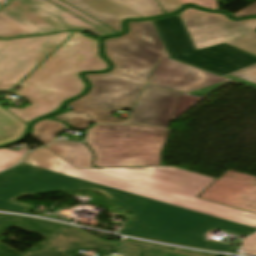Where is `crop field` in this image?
<instances>
[{
  "mask_svg": "<svg viewBox=\"0 0 256 256\" xmlns=\"http://www.w3.org/2000/svg\"><path fill=\"white\" fill-rule=\"evenodd\" d=\"M46 147L76 168L94 167L91 152L83 143L57 140Z\"/></svg>",
  "mask_w": 256,
  "mask_h": 256,
  "instance_id": "crop-field-15",
  "label": "crop field"
},
{
  "mask_svg": "<svg viewBox=\"0 0 256 256\" xmlns=\"http://www.w3.org/2000/svg\"><path fill=\"white\" fill-rule=\"evenodd\" d=\"M102 21L117 31H122L121 22L126 18L141 19L139 15L114 0H65ZM68 3V4H69ZM77 8V9H78Z\"/></svg>",
  "mask_w": 256,
  "mask_h": 256,
  "instance_id": "crop-field-13",
  "label": "crop field"
},
{
  "mask_svg": "<svg viewBox=\"0 0 256 256\" xmlns=\"http://www.w3.org/2000/svg\"><path fill=\"white\" fill-rule=\"evenodd\" d=\"M120 4L147 18L164 14L155 0H116Z\"/></svg>",
  "mask_w": 256,
  "mask_h": 256,
  "instance_id": "crop-field-21",
  "label": "crop field"
},
{
  "mask_svg": "<svg viewBox=\"0 0 256 256\" xmlns=\"http://www.w3.org/2000/svg\"><path fill=\"white\" fill-rule=\"evenodd\" d=\"M170 130L98 124L89 130L85 143L95 153V166L161 165L160 153Z\"/></svg>",
  "mask_w": 256,
  "mask_h": 256,
  "instance_id": "crop-field-5",
  "label": "crop field"
},
{
  "mask_svg": "<svg viewBox=\"0 0 256 256\" xmlns=\"http://www.w3.org/2000/svg\"><path fill=\"white\" fill-rule=\"evenodd\" d=\"M216 178L176 167L75 169L46 147L30 152L0 173V209L29 213L14 202L26 195L95 190L133 215L120 234L235 253V247L205 242L213 227L248 235L256 214L196 198Z\"/></svg>",
  "mask_w": 256,
  "mask_h": 256,
  "instance_id": "crop-field-1",
  "label": "crop field"
},
{
  "mask_svg": "<svg viewBox=\"0 0 256 256\" xmlns=\"http://www.w3.org/2000/svg\"><path fill=\"white\" fill-rule=\"evenodd\" d=\"M73 32L0 40V92L16 86Z\"/></svg>",
  "mask_w": 256,
  "mask_h": 256,
  "instance_id": "crop-field-7",
  "label": "crop field"
},
{
  "mask_svg": "<svg viewBox=\"0 0 256 256\" xmlns=\"http://www.w3.org/2000/svg\"><path fill=\"white\" fill-rule=\"evenodd\" d=\"M80 249H98L101 256L111 252L120 254L119 243L101 240L78 228L63 225L21 256H75V250Z\"/></svg>",
  "mask_w": 256,
  "mask_h": 256,
  "instance_id": "crop-field-10",
  "label": "crop field"
},
{
  "mask_svg": "<svg viewBox=\"0 0 256 256\" xmlns=\"http://www.w3.org/2000/svg\"><path fill=\"white\" fill-rule=\"evenodd\" d=\"M128 26L129 32L126 37L160 55L168 56L151 21L129 22Z\"/></svg>",
  "mask_w": 256,
  "mask_h": 256,
  "instance_id": "crop-field-16",
  "label": "crop field"
},
{
  "mask_svg": "<svg viewBox=\"0 0 256 256\" xmlns=\"http://www.w3.org/2000/svg\"><path fill=\"white\" fill-rule=\"evenodd\" d=\"M226 80L161 57L148 83L203 97Z\"/></svg>",
  "mask_w": 256,
  "mask_h": 256,
  "instance_id": "crop-field-9",
  "label": "crop field"
},
{
  "mask_svg": "<svg viewBox=\"0 0 256 256\" xmlns=\"http://www.w3.org/2000/svg\"><path fill=\"white\" fill-rule=\"evenodd\" d=\"M104 51L113 69L106 74H86L90 92L69 104L73 111L50 118L79 129L89 127L91 122L125 123L112 117L113 109H133L154 66L105 40Z\"/></svg>",
  "mask_w": 256,
  "mask_h": 256,
  "instance_id": "crop-field-3",
  "label": "crop field"
},
{
  "mask_svg": "<svg viewBox=\"0 0 256 256\" xmlns=\"http://www.w3.org/2000/svg\"><path fill=\"white\" fill-rule=\"evenodd\" d=\"M27 124L0 107V145L11 143L21 138Z\"/></svg>",
  "mask_w": 256,
  "mask_h": 256,
  "instance_id": "crop-field-18",
  "label": "crop field"
},
{
  "mask_svg": "<svg viewBox=\"0 0 256 256\" xmlns=\"http://www.w3.org/2000/svg\"><path fill=\"white\" fill-rule=\"evenodd\" d=\"M4 0H0V3H2Z\"/></svg>",
  "mask_w": 256,
  "mask_h": 256,
  "instance_id": "crop-field-29",
  "label": "crop field"
},
{
  "mask_svg": "<svg viewBox=\"0 0 256 256\" xmlns=\"http://www.w3.org/2000/svg\"><path fill=\"white\" fill-rule=\"evenodd\" d=\"M26 152V146L20 148L18 152L11 151L7 148L0 149V171L17 164L22 160Z\"/></svg>",
  "mask_w": 256,
  "mask_h": 256,
  "instance_id": "crop-field-22",
  "label": "crop field"
},
{
  "mask_svg": "<svg viewBox=\"0 0 256 256\" xmlns=\"http://www.w3.org/2000/svg\"><path fill=\"white\" fill-rule=\"evenodd\" d=\"M12 226L46 237L62 225L32 218L0 215V235ZM19 255L21 254L0 243V256Z\"/></svg>",
  "mask_w": 256,
  "mask_h": 256,
  "instance_id": "crop-field-14",
  "label": "crop field"
},
{
  "mask_svg": "<svg viewBox=\"0 0 256 256\" xmlns=\"http://www.w3.org/2000/svg\"><path fill=\"white\" fill-rule=\"evenodd\" d=\"M158 2L166 13L173 12L183 6L179 0H158Z\"/></svg>",
  "mask_w": 256,
  "mask_h": 256,
  "instance_id": "crop-field-25",
  "label": "crop field"
},
{
  "mask_svg": "<svg viewBox=\"0 0 256 256\" xmlns=\"http://www.w3.org/2000/svg\"><path fill=\"white\" fill-rule=\"evenodd\" d=\"M89 31L99 37L116 31L60 0H10L0 8V38Z\"/></svg>",
  "mask_w": 256,
  "mask_h": 256,
  "instance_id": "crop-field-4",
  "label": "crop field"
},
{
  "mask_svg": "<svg viewBox=\"0 0 256 256\" xmlns=\"http://www.w3.org/2000/svg\"><path fill=\"white\" fill-rule=\"evenodd\" d=\"M248 15H256V2L249 5L248 7L244 8L243 10L237 12L236 14H234L232 16L240 17V16H248Z\"/></svg>",
  "mask_w": 256,
  "mask_h": 256,
  "instance_id": "crop-field-28",
  "label": "crop field"
},
{
  "mask_svg": "<svg viewBox=\"0 0 256 256\" xmlns=\"http://www.w3.org/2000/svg\"><path fill=\"white\" fill-rule=\"evenodd\" d=\"M245 51L253 53L256 55V32L245 35L239 39L226 42Z\"/></svg>",
  "mask_w": 256,
  "mask_h": 256,
  "instance_id": "crop-field-23",
  "label": "crop field"
},
{
  "mask_svg": "<svg viewBox=\"0 0 256 256\" xmlns=\"http://www.w3.org/2000/svg\"><path fill=\"white\" fill-rule=\"evenodd\" d=\"M225 77L256 87V65Z\"/></svg>",
  "mask_w": 256,
  "mask_h": 256,
  "instance_id": "crop-field-24",
  "label": "crop field"
},
{
  "mask_svg": "<svg viewBox=\"0 0 256 256\" xmlns=\"http://www.w3.org/2000/svg\"><path fill=\"white\" fill-rule=\"evenodd\" d=\"M171 58L224 75L256 63V56L226 43L196 50L178 15L153 21Z\"/></svg>",
  "mask_w": 256,
  "mask_h": 256,
  "instance_id": "crop-field-6",
  "label": "crop field"
},
{
  "mask_svg": "<svg viewBox=\"0 0 256 256\" xmlns=\"http://www.w3.org/2000/svg\"><path fill=\"white\" fill-rule=\"evenodd\" d=\"M108 63L99 57L98 41L75 31L48 58L18 85L13 93L31 100L23 109L3 107L29 123L32 119L56 111L61 103L85 89L80 71L105 70Z\"/></svg>",
  "mask_w": 256,
  "mask_h": 256,
  "instance_id": "crop-field-2",
  "label": "crop field"
},
{
  "mask_svg": "<svg viewBox=\"0 0 256 256\" xmlns=\"http://www.w3.org/2000/svg\"><path fill=\"white\" fill-rule=\"evenodd\" d=\"M65 127L60 122L43 120L33 125V132L30 135L45 145L52 142L57 134L62 132Z\"/></svg>",
  "mask_w": 256,
  "mask_h": 256,
  "instance_id": "crop-field-20",
  "label": "crop field"
},
{
  "mask_svg": "<svg viewBox=\"0 0 256 256\" xmlns=\"http://www.w3.org/2000/svg\"><path fill=\"white\" fill-rule=\"evenodd\" d=\"M180 92L147 84L126 125L167 128Z\"/></svg>",
  "mask_w": 256,
  "mask_h": 256,
  "instance_id": "crop-field-12",
  "label": "crop field"
},
{
  "mask_svg": "<svg viewBox=\"0 0 256 256\" xmlns=\"http://www.w3.org/2000/svg\"><path fill=\"white\" fill-rule=\"evenodd\" d=\"M243 248L246 254L256 255V233L244 240Z\"/></svg>",
  "mask_w": 256,
  "mask_h": 256,
  "instance_id": "crop-field-26",
  "label": "crop field"
},
{
  "mask_svg": "<svg viewBox=\"0 0 256 256\" xmlns=\"http://www.w3.org/2000/svg\"><path fill=\"white\" fill-rule=\"evenodd\" d=\"M124 256H217L198 252L171 250L142 242L126 239L124 241Z\"/></svg>",
  "mask_w": 256,
  "mask_h": 256,
  "instance_id": "crop-field-17",
  "label": "crop field"
},
{
  "mask_svg": "<svg viewBox=\"0 0 256 256\" xmlns=\"http://www.w3.org/2000/svg\"><path fill=\"white\" fill-rule=\"evenodd\" d=\"M198 198L256 213V177L228 170Z\"/></svg>",
  "mask_w": 256,
  "mask_h": 256,
  "instance_id": "crop-field-11",
  "label": "crop field"
},
{
  "mask_svg": "<svg viewBox=\"0 0 256 256\" xmlns=\"http://www.w3.org/2000/svg\"><path fill=\"white\" fill-rule=\"evenodd\" d=\"M179 15L196 49L233 40L256 29V19L235 22L223 14L194 8H187Z\"/></svg>",
  "mask_w": 256,
  "mask_h": 256,
  "instance_id": "crop-field-8",
  "label": "crop field"
},
{
  "mask_svg": "<svg viewBox=\"0 0 256 256\" xmlns=\"http://www.w3.org/2000/svg\"><path fill=\"white\" fill-rule=\"evenodd\" d=\"M183 5L193 3L208 9H218L216 0H180Z\"/></svg>",
  "mask_w": 256,
  "mask_h": 256,
  "instance_id": "crop-field-27",
  "label": "crop field"
},
{
  "mask_svg": "<svg viewBox=\"0 0 256 256\" xmlns=\"http://www.w3.org/2000/svg\"><path fill=\"white\" fill-rule=\"evenodd\" d=\"M107 41L117 45L118 47L130 52L131 54L141 58L142 60L154 66L160 56L124 36L108 39Z\"/></svg>",
  "mask_w": 256,
  "mask_h": 256,
  "instance_id": "crop-field-19",
  "label": "crop field"
}]
</instances>
